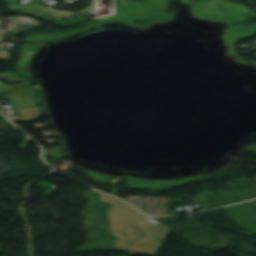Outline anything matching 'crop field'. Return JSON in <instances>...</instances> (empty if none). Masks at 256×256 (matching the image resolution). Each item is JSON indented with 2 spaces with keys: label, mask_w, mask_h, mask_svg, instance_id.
Segmentation results:
<instances>
[{
  "label": "crop field",
  "mask_w": 256,
  "mask_h": 256,
  "mask_svg": "<svg viewBox=\"0 0 256 256\" xmlns=\"http://www.w3.org/2000/svg\"><path fill=\"white\" fill-rule=\"evenodd\" d=\"M256 57V56H255Z\"/></svg>",
  "instance_id": "crop-field-13"
},
{
  "label": "crop field",
  "mask_w": 256,
  "mask_h": 256,
  "mask_svg": "<svg viewBox=\"0 0 256 256\" xmlns=\"http://www.w3.org/2000/svg\"><path fill=\"white\" fill-rule=\"evenodd\" d=\"M100 199L112 203L107 215L110 217L112 234H114L115 237L120 238L114 242L119 251H127L121 238L124 237L125 227L127 225L129 216L134 209L129 207L127 204L107 195L101 194Z\"/></svg>",
  "instance_id": "crop-field-2"
},
{
  "label": "crop field",
  "mask_w": 256,
  "mask_h": 256,
  "mask_svg": "<svg viewBox=\"0 0 256 256\" xmlns=\"http://www.w3.org/2000/svg\"><path fill=\"white\" fill-rule=\"evenodd\" d=\"M63 146L54 148L52 150L46 151L44 155L50 156V157H66L65 153L62 151Z\"/></svg>",
  "instance_id": "crop-field-8"
},
{
  "label": "crop field",
  "mask_w": 256,
  "mask_h": 256,
  "mask_svg": "<svg viewBox=\"0 0 256 256\" xmlns=\"http://www.w3.org/2000/svg\"><path fill=\"white\" fill-rule=\"evenodd\" d=\"M168 231L136 211L131 218L126 235L129 252L154 255ZM142 233H144L143 238H141Z\"/></svg>",
  "instance_id": "crop-field-1"
},
{
  "label": "crop field",
  "mask_w": 256,
  "mask_h": 256,
  "mask_svg": "<svg viewBox=\"0 0 256 256\" xmlns=\"http://www.w3.org/2000/svg\"><path fill=\"white\" fill-rule=\"evenodd\" d=\"M8 2L10 5L8 6L11 10H20L25 13L35 14L47 19L54 20L58 17L68 19L75 14L62 12V11H54L51 10L41 4L38 3L39 0H34L35 2L29 4V5H22V4H16L20 0H4Z\"/></svg>",
  "instance_id": "crop-field-3"
},
{
  "label": "crop field",
  "mask_w": 256,
  "mask_h": 256,
  "mask_svg": "<svg viewBox=\"0 0 256 256\" xmlns=\"http://www.w3.org/2000/svg\"><path fill=\"white\" fill-rule=\"evenodd\" d=\"M32 90L31 87L18 89L7 94L4 98L10 101L18 110L35 107L36 104L31 98Z\"/></svg>",
  "instance_id": "crop-field-5"
},
{
  "label": "crop field",
  "mask_w": 256,
  "mask_h": 256,
  "mask_svg": "<svg viewBox=\"0 0 256 256\" xmlns=\"http://www.w3.org/2000/svg\"><path fill=\"white\" fill-rule=\"evenodd\" d=\"M25 138H27V139H29L30 141L29 142H27L26 140H24L23 141V143L20 145V148L22 149V150H24L25 151V149L28 147V145L31 143V139L30 138H28L27 136L25 137Z\"/></svg>",
  "instance_id": "crop-field-10"
},
{
  "label": "crop field",
  "mask_w": 256,
  "mask_h": 256,
  "mask_svg": "<svg viewBox=\"0 0 256 256\" xmlns=\"http://www.w3.org/2000/svg\"><path fill=\"white\" fill-rule=\"evenodd\" d=\"M251 179L256 182V177L255 178H251Z\"/></svg>",
  "instance_id": "crop-field-12"
},
{
  "label": "crop field",
  "mask_w": 256,
  "mask_h": 256,
  "mask_svg": "<svg viewBox=\"0 0 256 256\" xmlns=\"http://www.w3.org/2000/svg\"><path fill=\"white\" fill-rule=\"evenodd\" d=\"M30 85H33V84L24 83V84H13V85H1L0 86V93L6 94V93L10 92L13 89L20 88V87H26V86H30Z\"/></svg>",
  "instance_id": "crop-field-7"
},
{
  "label": "crop field",
  "mask_w": 256,
  "mask_h": 256,
  "mask_svg": "<svg viewBox=\"0 0 256 256\" xmlns=\"http://www.w3.org/2000/svg\"><path fill=\"white\" fill-rule=\"evenodd\" d=\"M0 60H10V49L0 46Z\"/></svg>",
  "instance_id": "crop-field-9"
},
{
  "label": "crop field",
  "mask_w": 256,
  "mask_h": 256,
  "mask_svg": "<svg viewBox=\"0 0 256 256\" xmlns=\"http://www.w3.org/2000/svg\"><path fill=\"white\" fill-rule=\"evenodd\" d=\"M94 7V0H91V5L89 7H87L86 9L80 11L79 13H88L89 11H91V9Z\"/></svg>",
  "instance_id": "crop-field-11"
},
{
  "label": "crop field",
  "mask_w": 256,
  "mask_h": 256,
  "mask_svg": "<svg viewBox=\"0 0 256 256\" xmlns=\"http://www.w3.org/2000/svg\"><path fill=\"white\" fill-rule=\"evenodd\" d=\"M4 20L10 22L11 26L9 29L3 32L0 40H7L21 32H25L43 25L41 22L30 17L16 16V17L6 18Z\"/></svg>",
  "instance_id": "crop-field-4"
},
{
  "label": "crop field",
  "mask_w": 256,
  "mask_h": 256,
  "mask_svg": "<svg viewBox=\"0 0 256 256\" xmlns=\"http://www.w3.org/2000/svg\"><path fill=\"white\" fill-rule=\"evenodd\" d=\"M20 112L25 117L23 119L18 120V121H22V122L38 120L42 116V112L40 111V109L38 107L21 110Z\"/></svg>",
  "instance_id": "crop-field-6"
}]
</instances>
